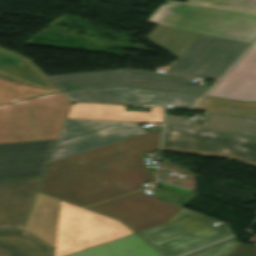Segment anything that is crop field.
Here are the masks:
<instances>
[{"instance_id":"1","label":"crop field","mask_w":256,"mask_h":256,"mask_svg":"<svg viewBox=\"0 0 256 256\" xmlns=\"http://www.w3.org/2000/svg\"><path fill=\"white\" fill-rule=\"evenodd\" d=\"M161 131L119 141L50 163L40 192L81 207L121 196L154 180L142 153L157 149Z\"/></svg>"},{"instance_id":"11","label":"crop field","mask_w":256,"mask_h":256,"mask_svg":"<svg viewBox=\"0 0 256 256\" xmlns=\"http://www.w3.org/2000/svg\"><path fill=\"white\" fill-rule=\"evenodd\" d=\"M63 94L71 101L135 104L159 107L173 105L175 108L193 107L201 97L198 95L160 92L129 87L67 92Z\"/></svg>"},{"instance_id":"25","label":"crop field","mask_w":256,"mask_h":256,"mask_svg":"<svg viewBox=\"0 0 256 256\" xmlns=\"http://www.w3.org/2000/svg\"><path fill=\"white\" fill-rule=\"evenodd\" d=\"M230 256H256V250L240 243Z\"/></svg>"},{"instance_id":"16","label":"crop field","mask_w":256,"mask_h":256,"mask_svg":"<svg viewBox=\"0 0 256 256\" xmlns=\"http://www.w3.org/2000/svg\"><path fill=\"white\" fill-rule=\"evenodd\" d=\"M3 49V48H2ZM0 49V74L16 83L37 88L59 90L31 61Z\"/></svg>"},{"instance_id":"4","label":"crop field","mask_w":256,"mask_h":256,"mask_svg":"<svg viewBox=\"0 0 256 256\" xmlns=\"http://www.w3.org/2000/svg\"><path fill=\"white\" fill-rule=\"evenodd\" d=\"M70 105L58 93L0 107V143L58 139Z\"/></svg>"},{"instance_id":"14","label":"crop field","mask_w":256,"mask_h":256,"mask_svg":"<svg viewBox=\"0 0 256 256\" xmlns=\"http://www.w3.org/2000/svg\"><path fill=\"white\" fill-rule=\"evenodd\" d=\"M208 95L256 101V44Z\"/></svg>"},{"instance_id":"26","label":"crop field","mask_w":256,"mask_h":256,"mask_svg":"<svg viewBox=\"0 0 256 256\" xmlns=\"http://www.w3.org/2000/svg\"><path fill=\"white\" fill-rule=\"evenodd\" d=\"M166 123L196 126V121H188V116H167Z\"/></svg>"},{"instance_id":"5","label":"crop field","mask_w":256,"mask_h":256,"mask_svg":"<svg viewBox=\"0 0 256 256\" xmlns=\"http://www.w3.org/2000/svg\"><path fill=\"white\" fill-rule=\"evenodd\" d=\"M133 234L120 222L61 201L55 254L64 256Z\"/></svg>"},{"instance_id":"9","label":"crop field","mask_w":256,"mask_h":256,"mask_svg":"<svg viewBox=\"0 0 256 256\" xmlns=\"http://www.w3.org/2000/svg\"><path fill=\"white\" fill-rule=\"evenodd\" d=\"M143 133L137 123L67 119L50 162Z\"/></svg>"},{"instance_id":"19","label":"crop field","mask_w":256,"mask_h":256,"mask_svg":"<svg viewBox=\"0 0 256 256\" xmlns=\"http://www.w3.org/2000/svg\"><path fill=\"white\" fill-rule=\"evenodd\" d=\"M67 256H162L133 234Z\"/></svg>"},{"instance_id":"13","label":"crop field","mask_w":256,"mask_h":256,"mask_svg":"<svg viewBox=\"0 0 256 256\" xmlns=\"http://www.w3.org/2000/svg\"><path fill=\"white\" fill-rule=\"evenodd\" d=\"M42 177L0 183V229H21Z\"/></svg>"},{"instance_id":"24","label":"crop field","mask_w":256,"mask_h":256,"mask_svg":"<svg viewBox=\"0 0 256 256\" xmlns=\"http://www.w3.org/2000/svg\"><path fill=\"white\" fill-rule=\"evenodd\" d=\"M239 243L234 237L187 256H229Z\"/></svg>"},{"instance_id":"10","label":"crop field","mask_w":256,"mask_h":256,"mask_svg":"<svg viewBox=\"0 0 256 256\" xmlns=\"http://www.w3.org/2000/svg\"><path fill=\"white\" fill-rule=\"evenodd\" d=\"M181 208L140 191L86 209L122 221L137 233L165 224Z\"/></svg>"},{"instance_id":"20","label":"crop field","mask_w":256,"mask_h":256,"mask_svg":"<svg viewBox=\"0 0 256 256\" xmlns=\"http://www.w3.org/2000/svg\"><path fill=\"white\" fill-rule=\"evenodd\" d=\"M202 128L256 137V120L206 112Z\"/></svg>"},{"instance_id":"18","label":"crop field","mask_w":256,"mask_h":256,"mask_svg":"<svg viewBox=\"0 0 256 256\" xmlns=\"http://www.w3.org/2000/svg\"><path fill=\"white\" fill-rule=\"evenodd\" d=\"M54 248L28 231H0V256H53Z\"/></svg>"},{"instance_id":"21","label":"crop field","mask_w":256,"mask_h":256,"mask_svg":"<svg viewBox=\"0 0 256 256\" xmlns=\"http://www.w3.org/2000/svg\"><path fill=\"white\" fill-rule=\"evenodd\" d=\"M195 109L256 119V103H241L206 97Z\"/></svg>"},{"instance_id":"6","label":"crop field","mask_w":256,"mask_h":256,"mask_svg":"<svg viewBox=\"0 0 256 256\" xmlns=\"http://www.w3.org/2000/svg\"><path fill=\"white\" fill-rule=\"evenodd\" d=\"M220 222L182 208L165 225L137 233L164 256H178L230 236Z\"/></svg>"},{"instance_id":"3","label":"crop field","mask_w":256,"mask_h":256,"mask_svg":"<svg viewBox=\"0 0 256 256\" xmlns=\"http://www.w3.org/2000/svg\"><path fill=\"white\" fill-rule=\"evenodd\" d=\"M147 22L248 44L256 39L251 13L167 2Z\"/></svg>"},{"instance_id":"17","label":"crop field","mask_w":256,"mask_h":256,"mask_svg":"<svg viewBox=\"0 0 256 256\" xmlns=\"http://www.w3.org/2000/svg\"><path fill=\"white\" fill-rule=\"evenodd\" d=\"M59 206V200L38 193L24 229L54 247Z\"/></svg>"},{"instance_id":"22","label":"crop field","mask_w":256,"mask_h":256,"mask_svg":"<svg viewBox=\"0 0 256 256\" xmlns=\"http://www.w3.org/2000/svg\"><path fill=\"white\" fill-rule=\"evenodd\" d=\"M53 92L34 89L0 79V105Z\"/></svg>"},{"instance_id":"23","label":"crop field","mask_w":256,"mask_h":256,"mask_svg":"<svg viewBox=\"0 0 256 256\" xmlns=\"http://www.w3.org/2000/svg\"><path fill=\"white\" fill-rule=\"evenodd\" d=\"M187 2L256 12V0H188Z\"/></svg>"},{"instance_id":"12","label":"crop field","mask_w":256,"mask_h":256,"mask_svg":"<svg viewBox=\"0 0 256 256\" xmlns=\"http://www.w3.org/2000/svg\"><path fill=\"white\" fill-rule=\"evenodd\" d=\"M54 141L0 144V181L43 176Z\"/></svg>"},{"instance_id":"7","label":"crop field","mask_w":256,"mask_h":256,"mask_svg":"<svg viewBox=\"0 0 256 256\" xmlns=\"http://www.w3.org/2000/svg\"><path fill=\"white\" fill-rule=\"evenodd\" d=\"M162 150L213 155L256 166V138L188 127L165 126Z\"/></svg>"},{"instance_id":"2","label":"crop field","mask_w":256,"mask_h":256,"mask_svg":"<svg viewBox=\"0 0 256 256\" xmlns=\"http://www.w3.org/2000/svg\"><path fill=\"white\" fill-rule=\"evenodd\" d=\"M179 59L166 73L219 78L249 46L157 25L145 38Z\"/></svg>"},{"instance_id":"8","label":"crop field","mask_w":256,"mask_h":256,"mask_svg":"<svg viewBox=\"0 0 256 256\" xmlns=\"http://www.w3.org/2000/svg\"><path fill=\"white\" fill-rule=\"evenodd\" d=\"M61 90L130 86L204 95L210 86L188 84L186 76L135 71L130 69L49 77Z\"/></svg>"},{"instance_id":"15","label":"crop field","mask_w":256,"mask_h":256,"mask_svg":"<svg viewBox=\"0 0 256 256\" xmlns=\"http://www.w3.org/2000/svg\"><path fill=\"white\" fill-rule=\"evenodd\" d=\"M164 108L151 113L125 111V106L72 103L67 118L162 123Z\"/></svg>"}]
</instances>
